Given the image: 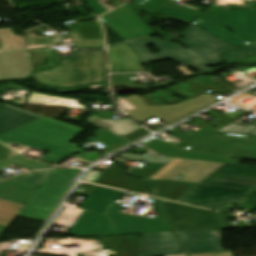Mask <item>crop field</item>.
Returning <instances> with one entry per match:
<instances>
[{"label": "crop field", "mask_w": 256, "mask_h": 256, "mask_svg": "<svg viewBox=\"0 0 256 256\" xmlns=\"http://www.w3.org/2000/svg\"><path fill=\"white\" fill-rule=\"evenodd\" d=\"M183 32L184 38L178 42L187 47V50L178 44L164 42L154 37L127 43L137 51L142 64L170 58L177 64H184L200 72L213 71L205 66L222 64L218 55L225 50L235 48L192 23ZM149 44L154 45L161 53L151 54L146 48Z\"/></svg>", "instance_id": "8a807250"}, {"label": "crop field", "mask_w": 256, "mask_h": 256, "mask_svg": "<svg viewBox=\"0 0 256 256\" xmlns=\"http://www.w3.org/2000/svg\"><path fill=\"white\" fill-rule=\"evenodd\" d=\"M80 131L81 129L44 117L1 135L0 142L3 144L14 142L26 147L48 151L50 153L41 159V161L58 165L76 153L72 149L77 146L75 144H69V142Z\"/></svg>", "instance_id": "ac0d7876"}, {"label": "crop field", "mask_w": 256, "mask_h": 256, "mask_svg": "<svg viewBox=\"0 0 256 256\" xmlns=\"http://www.w3.org/2000/svg\"><path fill=\"white\" fill-rule=\"evenodd\" d=\"M193 135H185L175 129L168 133L182 139L191 146L187 149L233 153L232 157L256 160V137L213 133L204 127Z\"/></svg>", "instance_id": "34b2d1b8"}, {"label": "crop field", "mask_w": 256, "mask_h": 256, "mask_svg": "<svg viewBox=\"0 0 256 256\" xmlns=\"http://www.w3.org/2000/svg\"><path fill=\"white\" fill-rule=\"evenodd\" d=\"M173 231L226 229L227 214L154 199Z\"/></svg>", "instance_id": "412701ff"}, {"label": "crop field", "mask_w": 256, "mask_h": 256, "mask_svg": "<svg viewBox=\"0 0 256 256\" xmlns=\"http://www.w3.org/2000/svg\"><path fill=\"white\" fill-rule=\"evenodd\" d=\"M79 171L77 169L53 170L18 216L46 221L48 215Z\"/></svg>", "instance_id": "f4fd0767"}, {"label": "crop field", "mask_w": 256, "mask_h": 256, "mask_svg": "<svg viewBox=\"0 0 256 256\" xmlns=\"http://www.w3.org/2000/svg\"><path fill=\"white\" fill-rule=\"evenodd\" d=\"M178 202L224 212L227 204L256 206V192L198 184Z\"/></svg>", "instance_id": "dd49c442"}, {"label": "crop field", "mask_w": 256, "mask_h": 256, "mask_svg": "<svg viewBox=\"0 0 256 256\" xmlns=\"http://www.w3.org/2000/svg\"><path fill=\"white\" fill-rule=\"evenodd\" d=\"M124 99L136 108L127 112L138 121L141 122L154 115L168 124L208 104L217 102L216 99L210 94L203 95L198 98L176 104L174 106L160 107H146L142 98L137 95H131Z\"/></svg>", "instance_id": "e52e79f7"}, {"label": "crop field", "mask_w": 256, "mask_h": 256, "mask_svg": "<svg viewBox=\"0 0 256 256\" xmlns=\"http://www.w3.org/2000/svg\"><path fill=\"white\" fill-rule=\"evenodd\" d=\"M76 88L105 83L104 50L74 52Z\"/></svg>", "instance_id": "d8731c3e"}, {"label": "crop field", "mask_w": 256, "mask_h": 256, "mask_svg": "<svg viewBox=\"0 0 256 256\" xmlns=\"http://www.w3.org/2000/svg\"><path fill=\"white\" fill-rule=\"evenodd\" d=\"M100 19L124 41L156 33L148 25L141 22L131 6L112 11Z\"/></svg>", "instance_id": "5a996713"}, {"label": "crop field", "mask_w": 256, "mask_h": 256, "mask_svg": "<svg viewBox=\"0 0 256 256\" xmlns=\"http://www.w3.org/2000/svg\"><path fill=\"white\" fill-rule=\"evenodd\" d=\"M114 206L111 203L107 209V214L119 234L171 231L163 217L150 218L121 215L120 211L123 207Z\"/></svg>", "instance_id": "3316defc"}, {"label": "crop field", "mask_w": 256, "mask_h": 256, "mask_svg": "<svg viewBox=\"0 0 256 256\" xmlns=\"http://www.w3.org/2000/svg\"><path fill=\"white\" fill-rule=\"evenodd\" d=\"M201 183L256 191V167L226 164Z\"/></svg>", "instance_id": "28ad6ade"}, {"label": "crop field", "mask_w": 256, "mask_h": 256, "mask_svg": "<svg viewBox=\"0 0 256 256\" xmlns=\"http://www.w3.org/2000/svg\"><path fill=\"white\" fill-rule=\"evenodd\" d=\"M140 145L148 149H151L165 157H170V158L233 163V164H238L239 162V160L230 159L231 154H228V153L183 150L157 137H154Z\"/></svg>", "instance_id": "d1516ede"}, {"label": "crop field", "mask_w": 256, "mask_h": 256, "mask_svg": "<svg viewBox=\"0 0 256 256\" xmlns=\"http://www.w3.org/2000/svg\"><path fill=\"white\" fill-rule=\"evenodd\" d=\"M183 254L171 232L140 234L138 256Z\"/></svg>", "instance_id": "22f410ed"}, {"label": "crop field", "mask_w": 256, "mask_h": 256, "mask_svg": "<svg viewBox=\"0 0 256 256\" xmlns=\"http://www.w3.org/2000/svg\"><path fill=\"white\" fill-rule=\"evenodd\" d=\"M214 13L245 44L256 42V10Z\"/></svg>", "instance_id": "cbeb9de0"}, {"label": "crop field", "mask_w": 256, "mask_h": 256, "mask_svg": "<svg viewBox=\"0 0 256 256\" xmlns=\"http://www.w3.org/2000/svg\"><path fill=\"white\" fill-rule=\"evenodd\" d=\"M68 233L73 236L118 235L107 214L88 210L82 213Z\"/></svg>", "instance_id": "5142ce71"}, {"label": "crop field", "mask_w": 256, "mask_h": 256, "mask_svg": "<svg viewBox=\"0 0 256 256\" xmlns=\"http://www.w3.org/2000/svg\"><path fill=\"white\" fill-rule=\"evenodd\" d=\"M187 253L221 250V231H179L175 232Z\"/></svg>", "instance_id": "d9b57169"}, {"label": "crop field", "mask_w": 256, "mask_h": 256, "mask_svg": "<svg viewBox=\"0 0 256 256\" xmlns=\"http://www.w3.org/2000/svg\"><path fill=\"white\" fill-rule=\"evenodd\" d=\"M31 72L27 50L0 53V80L24 79Z\"/></svg>", "instance_id": "733c2abd"}, {"label": "crop field", "mask_w": 256, "mask_h": 256, "mask_svg": "<svg viewBox=\"0 0 256 256\" xmlns=\"http://www.w3.org/2000/svg\"><path fill=\"white\" fill-rule=\"evenodd\" d=\"M111 73L141 71L138 57L126 43L108 47Z\"/></svg>", "instance_id": "4a817a6b"}, {"label": "crop field", "mask_w": 256, "mask_h": 256, "mask_svg": "<svg viewBox=\"0 0 256 256\" xmlns=\"http://www.w3.org/2000/svg\"><path fill=\"white\" fill-rule=\"evenodd\" d=\"M37 115L11 107L4 103L0 104V135L16 129L20 126L40 119Z\"/></svg>", "instance_id": "bc2a9ffb"}, {"label": "crop field", "mask_w": 256, "mask_h": 256, "mask_svg": "<svg viewBox=\"0 0 256 256\" xmlns=\"http://www.w3.org/2000/svg\"><path fill=\"white\" fill-rule=\"evenodd\" d=\"M193 23L217 35L236 47L244 44L234 33L226 29L227 26L222 24L220 19L209 11L196 19Z\"/></svg>", "instance_id": "214f88e0"}, {"label": "crop field", "mask_w": 256, "mask_h": 256, "mask_svg": "<svg viewBox=\"0 0 256 256\" xmlns=\"http://www.w3.org/2000/svg\"><path fill=\"white\" fill-rule=\"evenodd\" d=\"M37 190L6 180L0 184V198L25 205Z\"/></svg>", "instance_id": "92a150f3"}, {"label": "crop field", "mask_w": 256, "mask_h": 256, "mask_svg": "<svg viewBox=\"0 0 256 256\" xmlns=\"http://www.w3.org/2000/svg\"><path fill=\"white\" fill-rule=\"evenodd\" d=\"M87 122L97 129L107 128L119 138L141 128L128 118L122 120H102L94 115L88 118Z\"/></svg>", "instance_id": "dafd665d"}, {"label": "crop field", "mask_w": 256, "mask_h": 256, "mask_svg": "<svg viewBox=\"0 0 256 256\" xmlns=\"http://www.w3.org/2000/svg\"><path fill=\"white\" fill-rule=\"evenodd\" d=\"M75 88L74 59H61L57 67L56 89Z\"/></svg>", "instance_id": "00972430"}, {"label": "crop field", "mask_w": 256, "mask_h": 256, "mask_svg": "<svg viewBox=\"0 0 256 256\" xmlns=\"http://www.w3.org/2000/svg\"><path fill=\"white\" fill-rule=\"evenodd\" d=\"M34 72L56 65L54 51L51 48L28 50Z\"/></svg>", "instance_id": "a9b5d70f"}, {"label": "crop field", "mask_w": 256, "mask_h": 256, "mask_svg": "<svg viewBox=\"0 0 256 256\" xmlns=\"http://www.w3.org/2000/svg\"><path fill=\"white\" fill-rule=\"evenodd\" d=\"M97 136L88 140V142H99L103 144L106 148L101 149L106 153H110L128 143H130L125 138H118L114 134H112L107 129L96 130Z\"/></svg>", "instance_id": "4177f3b9"}, {"label": "crop field", "mask_w": 256, "mask_h": 256, "mask_svg": "<svg viewBox=\"0 0 256 256\" xmlns=\"http://www.w3.org/2000/svg\"><path fill=\"white\" fill-rule=\"evenodd\" d=\"M166 2H168V0H147L140 4L155 11V12L173 16V17L180 18L183 20L191 21V22L194 21L198 17V15H195V14H191V13L183 12L180 10L161 6L162 4H164Z\"/></svg>", "instance_id": "730fd06b"}, {"label": "crop field", "mask_w": 256, "mask_h": 256, "mask_svg": "<svg viewBox=\"0 0 256 256\" xmlns=\"http://www.w3.org/2000/svg\"><path fill=\"white\" fill-rule=\"evenodd\" d=\"M225 62H256V43L221 55Z\"/></svg>", "instance_id": "eef30255"}, {"label": "crop field", "mask_w": 256, "mask_h": 256, "mask_svg": "<svg viewBox=\"0 0 256 256\" xmlns=\"http://www.w3.org/2000/svg\"><path fill=\"white\" fill-rule=\"evenodd\" d=\"M26 103L77 107L73 99L55 97V96H46L41 93H33V92L30 93ZM77 108H85V107H77Z\"/></svg>", "instance_id": "ae1a2a85"}, {"label": "crop field", "mask_w": 256, "mask_h": 256, "mask_svg": "<svg viewBox=\"0 0 256 256\" xmlns=\"http://www.w3.org/2000/svg\"><path fill=\"white\" fill-rule=\"evenodd\" d=\"M24 206L0 200V225L8 227Z\"/></svg>", "instance_id": "d3111659"}, {"label": "crop field", "mask_w": 256, "mask_h": 256, "mask_svg": "<svg viewBox=\"0 0 256 256\" xmlns=\"http://www.w3.org/2000/svg\"><path fill=\"white\" fill-rule=\"evenodd\" d=\"M52 170L36 171L27 174H23L8 180H12L18 183H22L28 186L37 188L44 179L49 175Z\"/></svg>", "instance_id": "750c4746"}, {"label": "crop field", "mask_w": 256, "mask_h": 256, "mask_svg": "<svg viewBox=\"0 0 256 256\" xmlns=\"http://www.w3.org/2000/svg\"><path fill=\"white\" fill-rule=\"evenodd\" d=\"M10 164L21 166V167H24L29 170L52 167L45 163L26 159L18 154L16 156L12 157L10 160H8L6 163H4V164L0 163V170H2L4 167H6Z\"/></svg>", "instance_id": "bd1437ed"}, {"label": "crop field", "mask_w": 256, "mask_h": 256, "mask_svg": "<svg viewBox=\"0 0 256 256\" xmlns=\"http://www.w3.org/2000/svg\"><path fill=\"white\" fill-rule=\"evenodd\" d=\"M64 39L71 38L79 49L104 48L103 39L82 40L76 30H71L70 35L63 36Z\"/></svg>", "instance_id": "1d83c4d3"}, {"label": "crop field", "mask_w": 256, "mask_h": 256, "mask_svg": "<svg viewBox=\"0 0 256 256\" xmlns=\"http://www.w3.org/2000/svg\"><path fill=\"white\" fill-rule=\"evenodd\" d=\"M32 77L36 82L48 88L55 89L56 67L42 72H38Z\"/></svg>", "instance_id": "120bbe31"}, {"label": "crop field", "mask_w": 256, "mask_h": 256, "mask_svg": "<svg viewBox=\"0 0 256 256\" xmlns=\"http://www.w3.org/2000/svg\"><path fill=\"white\" fill-rule=\"evenodd\" d=\"M25 38L27 48L61 44L57 43L52 37L25 36Z\"/></svg>", "instance_id": "d32e631a"}, {"label": "crop field", "mask_w": 256, "mask_h": 256, "mask_svg": "<svg viewBox=\"0 0 256 256\" xmlns=\"http://www.w3.org/2000/svg\"><path fill=\"white\" fill-rule=\"evenodd\" d=\"M97 16L107 12L96 1L98 0H82Z\"/></svg>", "instance_id": "5866460e"}, {"label": "crop field", "mask_w": 256, "mask_h": 256, "mask_svg": "<svg viewBox=\"0 0 256 256\" xmlns=\"http://www.w3.org/2000/svg\"><path fill=\"white\" fill-rule=\"evenodd\" d=\"M15 154H17V153L0 145V162H2V163L6 162L8 159H10Z\"/></svg>", "instance_id": "028f5c9d"}, {"label": "crop field", "mask_w": 256, "mask_h": 256, "mask_svg": "<svg viewBox=\"0 0 256 256\" xmlns=\"http://www.w3.org/2000/svg\"><path fill=\"white\" fill-rule=\"evenodd\" d=\"M148 133H149L148 131H146L145 129L141 128V129H139V130H137V131H135L133 133H130V134L124 136V137L132 142V141H134V140H136V139H138V138H140V137H142V136H144V135H146Z\"/></svg>", "instance_id": "e1f06a70"}, {"label": "crop field", "mask_w": 256, "mask_h": 256, "mask_svg": "<svg viewBox=\"0 0 256 256\" xmlns=\"http://www.w3.org/2000/svg\"><path fill=\"white\" fill-rule=\"evenodd\" d=\"M113 160L117 161L118 163H120L121 165L124 164L126 161H122V160H119V159H115V158H112Z\"/></svg>", "instance_id": "0bd39190"}, {"label": "crop field", "mask_w": 256, "mask_h": 256, "mask_svg": "<svg viewBox=\"0 0 256 256\" xmlns=\"http://www.w3.org/2000/svg\"><path fill=\"white\" fill-rule=\"evenodd\" d=\"M6 227L0 226V235L5 231Z\"/></svg>", "instance_id": "b80d0937"}, {"label": "crop field", "mask_w": 256, "mask_h": 256, "mask_svg": "<svg viewBox=\"0 0 256 256\" xmlns=\"http://www.w3.org/2000/svg\"><path fill=\"white\" fill-rule=\"evenodd\" d=\"M179 256H187V255H179Z\"/></svg>", "instance_id": "c035e120"}, {"label": "crop field", "mask_w": 256, "mask_h": 256, "mask_svg": "<svg viewBox=\"0 0 256 256\" xmlns=\"http://www.w3.org/2000/svg\"><path fill=\"white\" fill-rule=\"evenodd\" d=\"M3 178H0V180H2Z\"/></svg>", "instance_id": "c21b1889"}]
</instances>
